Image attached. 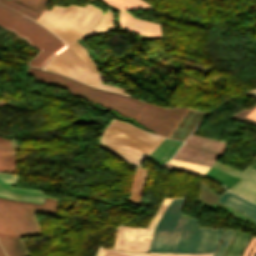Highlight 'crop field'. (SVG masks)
<instances>
[{
    "mask_svg": "<svg viewBox=\"0 0 256 256\" xmlns=\"http://www.w3.org/2000/svg\"><path fill=\"white\" fill-rule=\"evenodd\" d=\"M182 143L165 138L147 158L161 165L173 156Z\"/></svg>",
    "mask_w": 256,
    "mask_h": 256,
    "instance_id": "13",
    "label": "crop field"
},
{
    "mask_svg": "<svg viewBox=\"0 0 256 256\" xmlns=\"http://www.w3.org/2000/svg\"><path fill=\"white\" fill-rule=\"evenodd\" d=\"M161 167L187 171V172L196 173L200 175H204L209 168L208 166L193 164V163L174 160V159H171L169 162H167Z\"/></svg>",
    "mask_w": 256,
    "mask_h": 256,
    "instance_id": "18",
    "label": "crop field"
},
{
    "mask_svg": "<svg viewBox=\"0 0 256 256\" xmlns=\"http://www.w3.org/2000/svg\"><path fill=\"white\" fill-rule=\"evenodd\" d=\"M149 170L136 167L135 177L133 179L129 200L135 204H140L143 187Z\"/></svg>",
    "mask_w": 256,
    "mask_h": 256,
    "instance_id": "16",
    "label": "crop field"
},
{
    "mask_svg": "<svg viewBox=\"0 0 256 256\" xmlns=\"http://www.w3.org/2000/svg\"><path fill=\"white\" fill-rule=\"evenodd\" d=\"M246 93L256 97V89L248 91Z\"/></svg>",
    "mask_w": 256,
    "mask_h": 256,
    "instance_id": "25",
    "label": "crop field"
},
{
    "mask_svg": "<svg viewBox=\"0 0 256 256\" xmlns=\"http://www.w3.org/2000/svg\"><path fill=\"white\" fill-rule=\"evenodd\" d=\"M219 201L256 219V206L245 200H242L227 192L220 196Z\"/></svg>",
    "mask_w": 256,
    "mask_h": 256,
    "instance_id": "15",
    "label": "crop field"
},
{
    "mask_svg": "<svg viewBox=\"0 0 256 256\" xmlns=\"http://www.w3.org/2000/svg\"><path fill=\"white\" fill-rule=\"evenodd\" d=\"M170 201V198H165L148 229L119 227L114 249L131 252H148L153 229Z\"/></svg>",
    "mask_w": 256,
    "mask_h": 256,
    "instance_id": "8",
    "label": "crop field"
},
{
    "mask_svg": "<svg viewBox=\"0 0 256 256\" xmlns=\"http://www.w3.org/2000/svg\"><path fill=\"white\" fill-rule=\"evenodd\" d=\"M163 139L113 118L100 137V145L130 163L140 164Z\"/></svg>",
    "mask_w": 256,
    "mask_h": 256,
    "instance_id": "4",
    "label": "crop field"
},
{
    "mask_svg": "<svg viewBox=\"0 0 256 256\" xmlns=\"http://www.w3.org/2000/svg\"><path fill=\"white\" fill-rule=\"evenodd\" d=\"M0 171L15 172L14 148L9 139L0 137Z\"/></svg>",
    "mask_w": 256,
    "mask_h": 256,
    "instance_id": "14",
    "label": "crop field"
},
{
    "mask_svg": "<svg viewBox=\"0 0 256 256\" xmlns=\"http://www.w3.org/2000/svg\"><path fill=\"white\" fill-rule=\"evenodd\" d=\"M97 256H211L206 255H168V254H130L101 248Z\"/></svg>",
    "mask_w": 256,
    "mask_h": 256,
    "instance_id": "21",
    "label": "crop field"
},
{
    "mask_svg": "<svg viewBox=\"0 0 256 256\" xmlns=\"http://www.w3.org/2000/svg\"><path fill=\"white\" fill-rule=\"evenodd\" d=\"M255 242H256V238L253 237V238L251 239V241H250V243H249L247 249L245 250L243 256H247V254H248L250 248L253 246V244H254ZM251 249H252V248H251ZM250 256H256V245H255V247H254L252 253L250 254Z\"/></svg>",
    "mask_w": 256,
    "mask_h": 256,
    "instance_id": "23",
    "label": "crop field"
},
{
    "mask_svg": "<svg viewBox=\"0 0 256 256\" xmlns=\"http://www.w3.org/2000/svg\"><path fill=\"white\" fill-rule=\"evenodd\" d=\"M253 167H255V168H256V166H253Z\"/></svg>",
    "mask_w": 256,
    "mask_h": 256,
    "instance_id": "27",
    "label": "crop field"
},
{
    "mask_svg": "<svg viewBox=\"0 0 256 256\" xmlns=\"http://www.w3.org/2000/svg\"><path fill=\"white\" fill-rule=\"evenodd\" d=\"M102 14V10L88 3L85 7L54 5L51 11L46 9L45 14L38 22L70 44L79 37L82 40L93 33L106 34L113 30L114 16L111 10H108L101 18ZM97 22V25L88 30Z\"/></svg>",
    "mask_w": 256,
    "mask_h": 256,
    "instance_id": "3",
    "label": "crop field"
},
{
    "mask_svg": "<svg viewBox=\"0 0 256 256\" xmlns=\"http://www.w3.org/2000/svg\"><path fill=\"white\" fill-rule=\"evenodd\" d=\"M0 244L7 256H29L20 238L0 236Z\"/></svg>",
    "mask_w": 256,
    "mask_h": 256,
    "instance_id": "17",
    "label": "crop field"
},
{
    "mask_svg": "<svg viewBox=\"0 0 256 256\" xmlns=\"http://www.w3.org/2000/svg\"><path fill=\"white\" fill-rule=\"evenodd\" d=\"M0 256H5L4 252L2 251L1 247H0Z\"/></svg>",
    "mask_w": 256,
    "mask_h": 256,
    "instance_id": "26",
    "label": "crop field"
},
{
    "mask_svg": "<svg viewBox=\"0 0 256 256\" xmlns=\"http://www.w3.org/2000/svg\"><path fill=\"white\" fill-rule=\"evenodd\" d=\"M234 232H235L234 230L226 229L224 238H223L215 256H222L223 255V253H224L228 243L230 242Z\"/></svg>",
    "mask_w": 256,
    "mask_h": 256,
    "instance_id": "22",
    "label": "crop field"
},
{
    "mask_svg": "<svg viewBox=\"0 0 256 256\" xmlns=\"http://www.w3.org/2000/svg\"><path fill=\"white\" fill-rule=\"evenodd\" d=\"M248 117L256 120V108L248 115Z\"/></svg>",
    "mask_w": 256,
    "mask_h": 256,
    "instance_id": "24",
    "label": "crop field"
},
{
    "mask_svg": "<svg viewBox=\"0 0 256 256\" xmlns=\"http://www.w3.org/2000/svg\"><path fill=\"white\" fill-rule=\"evenodd\" d=\"M57 200L46 198L45 205L0 198V235L22 237L40 234L34 212L56 214Z\"/></svg>",
    "mask_w": 256,
    "mask_h": 256,
    "instance_id": "6",
    "label": "crop field"
},
{
    "mask_svg": "<svg viewBox=\"0 0 256 256\" xmlns=\"http://www.w3.org/2000/svg\"><path fill=\"white\" fill-rule=\"evenodd\" d=\"M0 27L12 30L24 37L34 47L41 51L27 63L30 66L42 68L66 44L41 25L0 5Z\"/></svg>",
    "mask_w": 256,
    "mask_h": 256,
    "instance_id": "5",
    "label": "crop field"
},
{
    "mask_svg": "<svg viewBox=\"0 0 256 256\" xmlns=\"http://www.w3.org/2000/svg\"><path fill=\"white\" fill-rule=\"evenodd\" d=\"M15 1H17L21 4H24L28 7H31L33 9L39 11V12H37V11L31 9V8H28L24 5H21L17 2H15ZM15 1H13V0H0V3L14 9V10H16V11H18V12L34 19V20H36V21L43 14V12H44V10H45L48 2H49V0H15Z\"/></svg>",
    "mask_w": 256,
    "mask_h": 256,
    "instance_id": "12",
    "label": "crop field"
},
{
    "mask_svg": "<svg viewBox=\"0 0 256 256\" xmlns=\"http://www.w3.org/2000/svg\"><path fill=\"white\" fill-rule=\"evenodd\" d=\"M213 167L241 178L230 191L256 203V170L249 167L244 173L216 162Z\"/></svg>",
    "mask_w": 256,
    "mask_h": 256,
    "instance_id": "10",
    "label": "crop field"
},
{
    "mask_svg": "<svg viewBox=\"0 0 256 256\" xmlns=\"http://www.w3.org/2000/svg\"><path fill=\"white\" fill-rule=\"evenodd\" d=\"M207 177H210L216 181H219L221 183H223L224 185H226L227 187H231L236 181L239 180V178L234 177L230 174H227L225 172H222L218 169H215L213 167L210 168V170L207 172V174L205 175Z\"/></svg>",
    "mask_w": 256,
    "mask_h": 256,
    "instance_id": "20",
    "label": "crop field"
},
{
    "mask_svg": "<svg viewBox=\"0 0 256 256\" xmlns=\"http://www.w3.org/2000/svg\"><path fill=\"white\" fill-rule=\"evenodd\" d=\"M249 239H250V236L239 232L237 237L236 238L234 237L230 247L228 248L224 256H240L242 250L248 243Z\"/></svg>",
    "mask_w": 256,
    "mask_h": 256,
    "instance_id": "19",
    "label": "crop field"
},
{
    "mask_svg": "<svg viewBox=\"0 0 256 256\" xmlns=\"http://www.w3.org/2000/svg\"><path fill=\"white\" fill-rule=\"evenodd\" d=\"M18 175L4 174L0 172V197L42 203L44 200V192L17 189L10 187L17 185Z\"/></svg>",
    "mask_w": 256,
    "mask_h": 256,
    "instance_id": "11",
    "label": "crop field"
},
{
    "mask_svg": "<svg viewBox=\"0 0 256 256\" xmlns=\"http://www.w3.org/2000/svg\"><path fill=\"white\" fill-rule=\"evenodd\" d=\"M34 75L35 82L51 83L71 89V94L81 96L100 105L113 109L123 116L134 118L145 128L168 137L187 108L165 109L110 92L101 91L74 79L35 68H27Z\"/></svg>",
    "mask_w": 256,
    "mask_h": 256,
    "instance_id": "1",
    "label": "crop field"
},
{
    "mask_svg": "<svg viewBox=\"0 0 256 256\" xmlns=\"http://www.w3.org/2000/svg\"><path fill=\"white\" fill-rule=\"evenodd\" d=\"M114 8H120L119 25L128 31H134L160 38L159 25L134 19L123 9H151L140 0H104Z\"/></svg>",
    "mask_w": 256,
    "mask_h": 256,
    "instance_id": "9",
    "label": "crop field"
},
{
    "mask_svg": "<svg viewBox=\"0 0 256 256\" xmlns=\"http://www.w3.org/2000/svg\"><path fill=\"white\" fill-rule=\"evenodd\" d=\"M186 198L172 199L156 225L149 251L213 252L222 230L198 229L196 219L182 214Z\"/></svg>",
    "mask_w": 256,
    "mask_h": 256,
    "instance_id": "2",
    "label": "crop field"
},
{
    "mask_svg": "<svg viewBox=\"0 0 256 256\" xmlns=\"http://www.w3.org/2000/svg\"><path fill=\"white\" fill-rule=\"evenodd\" d=\"M44 69L52 70L78 79L84 83L92 86L121 93L123 88L116 86L102 84L105 77L94 73L91 68L69 47L60 51L46 66ZM128 96V95H127Z\"/></svg>",
    "mask_w": 256,
    "mask_h": 256,
    "instance_id": "7",
    "label": "crop field"
}]
</instances>
